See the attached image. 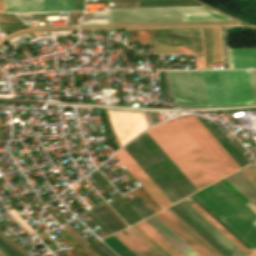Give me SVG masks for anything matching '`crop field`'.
Wrapping results in <instances>:
<instances>
[{
  "label": "crop field",
  "instance_id": "b80d0937",
  "mask_svg": "<svg viewBox=\"0 0 256 256\" xmlns=\"http://www.w3.org/2000/svg\"><path fill=\"white\" fill-rule=\"evenodd\" d=\"M97 248L100 252H102L105 256H116L113 252H111L106 246H104L102 243L94 246Z\"/></svg>",
  "mask_w": 256,
  "mask_h": 256
},
{
  "label": "crop field",
  "instance_id": "cbeb9de0",
  "mask_svg": "<svg viewBox=\"0 0 256 256\" xmlns=\"http://www.w3.org/2000/svg\"><path fill=\"white\" fill-rule=\"evenodd\" d=\"M125 231L131 236L126 238L120 232L114 234V236L137 256H164L132 227L125 229Z\"/></svg>",
  "mask_w": 256,
  "mask_h": 256
},
{
  "label": "crop field",
  "instance_id": "a9b5d70f",
  "mask_svg": "<svg viewBox=\"0 0 256 256\" xmlns=\"http://www.w3.org/2000/svg\"><path fill=\"white\" fill-rule=\"evenodd\" d=\"M196 69H204L201 28H193Z\"/></svg>",
  "mask_w": 256,
  "mask_h": 256
},
{
  "label": "crop field",
  "instance_id": "425ffa30",
  "mask_svg": "<svg viewBox=\"0 0 256 256\" xmlns=\"http://www.w3.org/2000/svg\"><path fill=\"white\" fill-rule=\"evenodd\" d=\"M254 256H256V254Z\"/></svg>",
  "mask_w": 256,
  "mask_h": 256
},
{
  "label": "crop field",
  "instance_id": "eef30255",
  "mask_svg": "<svg viewBox=\"0 0 256 256\" xmlns=\"http://www.w3.org/2000/svg\"><path fill=\"white\" fill-rule=\"evenodd\" d=\"M195 209H197L205 218H207L214 226H216L224 235H226L233 243H235L243 252H245L248 256L251 253L244 246H242L234 237H232L225 229H223L217 222H215L209 215H207L201 208H199L196 204L192 205Z\"/></svg>",
  "mask_w": 256,
  "mask_h": 256
},
{
  "label": "crop field",
  "instance_id": "28ad6ade",
  "mask_svg": "<svg viewBox=\"0 0 256 256\" xmlns=\"http://www.w3.org/2000/svg\"><path fill=\"white\" fill-rule=\"evenodd\" d=\"M232 256H247L184 200L175 204Z\"/></svg>",
  "mask_w": 256,
  "mask_h": 256
},
{
  "label": "crop field",
  "instance_id": "733c2abd",
  "mask_svg": "<svg viewBox=\"0 0 256 256\" xmlns=\"http://www.w3.org/2000/svg\"><path fill=\"white\" fill-rule=\"evenodd\" d=\"M184 256H198L154 215L144 220Z\"/></svg>",
  "mask_w": 256,
  "mask_h": 256
},
{
  "label": "crop field",
  "instance_id": "dafd665d",
  "mask_svg": "<svg viewBox=\"0 0 256 256\" xmlns=\"http://www.w3.org/2000/svg\"><path fill=\"white\" fill-rule=\"evenodd\" d=\"M148 224V223H147ZM144 221L136 224L149 238H151L158 246H160L170 256H182L175 248H173L166 240L156 233Z\"/></svg>",
  "mask_w": 256,
  "mask_h": 256
},
{
  "label": "crop field",
  "instance_id": "bc2a9ffb",
  "mask_svg": "<svg viewBox=\"0 0 256 256\" xmlns=\"http://www.w3.org/2000/svg\"><path fill=\"white\" fill-rule=\"evenodd\" d=\"M224 179L256 206V185L245 175L238 171Z\"/></svg>",
  "mask_w": 256,
  "mask_h": 256
},
{
  "label": "crop field",
  "instance_id": "03da06ac",
  "mask_svg": "<svg viewBox=\"0 0 256 256\" xmlns=\"http://www.w3.org/2000/svg\"><path fill=\"white\" fill-rule=\"evenodd\" d=\"M130 32H131V30H125L124 38H127V41H126V42H128V41H129V38H130ZM125 40H126V39H124V42H125Z\"/></svg>",
  "mask_w": 256,
  "mask_h": 256
},
{
  "label": "crop field",
  "instance_id": "4a817a6b",
  "mask_svg": "<svg viewBox=\"0 0 256 256\" xmlns=\"http://www.w3.org/2000/svg\"><path fill=\"white\" fill-rule=\"evenodd\" d=\"M88 215L107 235L125 228L105 206L88 213Z\"/></svg>",
  "mask_w": 256,
  "mask_h": 256
},
{
  "label": "crop field",
  "instance_id": "4177f3b9",
  "mask_svg": "<svg viewBox=\"0 0 256 256\" xmlns=\"http://www.w3.org/2000/svg\"><path fill=\"white\" fill-rule=\"evenodd\" d=\"M119 256H136L113 235L102 240Z\"/></svg>",
  "mask_w": 256,
  "mask_h": 256
},
{
  "label": "crop field",
  "instance_id": "8a807250",
  "mask_svg": "<svg viewBox=\"0 0 256 256\" xmlns=\"http://www.w3.org/2000/svg\"><path fill=\"white\" fill-rule=\"evenodd\" d=\"M146 131L198 190L225 176L175 118Z\"/></svg>",
  "mask_w": 256,
  "mask_h": 256
},
{
  "label": "crop field",
  "instance_id": "3316defc",
  "mask_svg": "<svg viewBox=\"0 0 256 256\" xmlns=\"http://www.w3.org/2000/svg\"><path fill=\"white\" fill-rule=\"evenodd\" d=\"M73 11V0H5V12Z\"/></svg>",
  "mask_w": 256,
  "mask_h": 256
},
{
  "label": "crop field",
  "instance_id": "d9b57169",
  "mask_svg": "<svg viewBox=\"0 0 256 256\" xmlns=\"http://www.w3.org/2000/svg\"><path fill=\"white\" fill-rule=\"evenodd\" d=\"M195 116L210 132V134L217 140V142L225 149V151L232 157V159L240 166V168L250 164L247 159L240 153V151L221 132V130L214 123V121L204 119L198 115Z\"/></svg>",
  "mask_w": 256,
  "mask_h": 256
},
{
  "label": "crop field",
  "instance_id": "028f5c9d",
  "mask_svg": "<svg viewBox=\"0 0 256 256\" xmlns=\"http://www.w3.org/2000/svg\"><path fill=\"white\" fill-rule=\"evenodd\" d=\"M17 220L18 222L29 232L33 233V229L15 212L14 209L9 211Z\"/></svg>",
  "mask_w": 256,
  "mask_h": 256
},
{
  "label": "crop field",
  "instance_id": "d32e631a",
  "mask_svg": "<svg viewBox=\"0 0 256 256\" xmlns=\"http://www.w3.org/2000/svg\"><path fill=\"white\" fill-rule=\"evenodd\" d=\"M0 237L5 240L11 247L19 251L24 256H31V253L21 248L19 245H17L14 241H12L7 235H5L1 229H0Z\"/></svg>",
  "mask_w": 256,
  "mask_h": 256
},
{
  "label": "crop field",
  "instance_id": "ac0d7876",
  "mask_svg": "<svg viewBox=\"0 0 256 256\" xmlns=\"http://www.w3.org/2000/svg\"><path fill=\"white\" fill-rule=\"evenodd\" d=\"M123 148L172 203L198 191L146 131Z\"/></svg>",
  "mask_w": 256,
  "mask_h": 256
},
{
  "label": "crop field",
  "instance_id": "750c4746",
  "mask_svg": "<svg viewBox=\"0 0 256 256\" xmlns=\"http://www.w3.org/2000/svg\"><path fill=\"white\" fill-rule=\"evenodd\" d=\"M194 200L202 209H204L212 218H214L222 227H224L231 235H233L239 242H241L247 249H252L240 237H238L230 228H228L219 218H217L209 209H207L199 200L193 195L189 196Z\"/></svg>",
  "mask_w": 256,
  "mask_h": 256
},
{
  "label": "crop field",
  "instance_id": "5142ce71",
  "mask_svg": "<svg viewBox=\"0 0 256 256\" xmlns=\"http://www.w3.org/2000/svg\"><path fill=\"white\" fill-rule=\"evenodd\" d=\"M153 53H193L192 38L150 37Z\"/></svg>",
  "mask_w": 256,
  "mask_h": 256
},
{
  "label": "crop field",
  "instance_id": "e1f06a70",
  "mask_svg": "<svg viewBox=\"0 0 256 256\" xmlns=\"http://www.w3.org/2000/svg\"><path fill=\"white\" fill-rule=\"evenodd\" d=\"M249 72H250L254 102L256 104V70H249Z\"/></svg>",
  "mask_w": 256,
  "mask_h": 256
},
{
  "label": "crop field",
  "instance_id": "c035e120",
  "mask_svg": "<svg viewBox=\"0 0 256 256\" xmlns=\"http://www.w3.org/2000/svg\"><path fill=\"white\" fill-rule=\"evenodd\" d=\"M0 247L9 255V256H18L15 254L7 244L0 238Z\"/></svg>",
  "mask_w": 256,
  "mask_h": 256
},
{
  "label": "crop field",
  "instance_id": "214f88e0",
  "mask_svg": "<svg viewBox=\"0 0 256 256\" xmlns=\"http://www.w3.org/2000/svg\"><path fill=\"white\" fill-rule=\"evenodd\" d=\"M231 68H256V49L229 50Z\"/></svg>",
  "mask_w": 256,
  "mask_h": 256
},
{
  "label": "crop field",
  "instance_id": "412701ff",
  "mask_svg": "<svg viewBox=\"0 0 256 256\" xmlns=\"http://www.w3.org/2000/svg\"><path fill=\"white\" fill-rule=\"evenodd\" d=\"M202 73L209 107L254 104L248 70Z\"/></svg>",
  "mask_w": 256,
  "mask_h": 256
},
{
  "label": "crop field",
  "instance_id": "5866460e",
  "mask_svg": "<svg viewBox=\"0 0 256 256\" xmlns=\"http://www.w3.org/2000/svg\"><path fill=\"white\" fill-rule=\"evenodd\" d=\"M171 37H192L191 29H168Z\"/></svg>",
  "mask_w": 256,
  "mask_h": 256
},
{
  "label": "crop field",
  "instance_id": "d1516ede",
  "mask_svg": "<svg viewBox=\"0 0 256 256\" xmlns=\"http://www.w3.org/2000/svg\"><path fill=\"white\" fill-rule=\"evenodd\" d=\"M207 256H221L168 208L158 212Z\"/></svg>",
  "mask_w": 256,
  "mask_h": 256
},
{
  "label": "crop field",
  "instance_id": "d3111659",
  "mask_svg": "<svg viewBox=\"0 0 256 256\" xmlns=\"http://www.w3.org/2000/svg\"><path fill=\"white\" fill-rule=\"evenodd\" d=\"M135 210L136 212L144 219L152 214H154L150 208L143 202V200L138 197L130 202H128Z\"/></svg>",
  "mask_w": 256,
  "mask_h": 256
},
{
  "label": "crop field",
  "instance_id": "ae1a2a85",
  "mask_svg": "<svg viewBox=\"0 0 256 256\" xmlns=\"http://www.w3.org/2000/svg\"><path fill=\"white\" fill-rule=\"evenodd\" d=\"M81 25L107 24L106 11L90 13L80 21Z\"/></svg>",
  "mask_w": 256,
  "mask_h": 256
},
{
  "label": "crop field",
  "instance_id": "d8731c3e",
  "mask_svg": "<svg viewBox=\"0 0 256 256\" xmlns=\"http://www.w3.org/2000/svg\"><path fill=\"white\" fill-rule=\"evenodd\" d=\"M114 156L161 209L172 204L123 148L117 151Z\"/></svg>",
  "mask_w": 256,
  "mask_h": 256
},
{
  "label": "crop field",
  "instance_id": "120bbe31",
  "mask_svg": "<svg viewBox=\"0 0 256 256\" xmlns=\"http://www.w3.org/2000/svg\"><path fill=\"white\" fill-rule=\"evenodd\" d=\"M159 218L166 226H168L174 233H176L183 241H185L193 250H195L200 256H205L198 248H196L189 240H187L180 232H178L172 225H170L163 217L158 213L154 214Z\"/></svg>",
  "mask_w": 256,
  "mask_h": 256
},
{
  "label": "crop field",
  "instance_id": "0bd39190",
  "mask_svg": "<svg viewBox=\"0 0 256 256\" xmlns=\"http://www.w3.org/2000/svg\"><path fill=\"white\" fill-rule=\"evenodd\" d=\"M20 37H22L24 39V41L27 42L26 39L34 37V34L33 33H25V34H21V35L13 37L12 39L8 40L9 43L12 45V47L15 45H18V43L14 39L20 38Z\"/></svg>",
  "mask_w": 256,
  "mask_h": 256
},
{
  "label": "crop field",
  "instance_id": "d23c7cc5",
  "mask_svg": "<svg viewBox=\"0 0 256 256\" xmlns=\"http://www.w3.org/2000/svg\"><path fill=\"white\" fill-rule=\"evenodd\" d=\"M0 131H1V127H0Z\"/></svg>",
  "mask_w": 256,
  "mask_h": 256
},
{
  "label": "crop field",
  "instance_id": "e52e79f7",
  "mask_svg": "<svg viewBox=\"0 0 256 256\" xmlns=\"http://www.w3.org/2000/svg\"><path fill=\"white\" fill-rule=\"evenodd\" d=\"M176 119L225 175L240 169L193 114L179 116Z\"/></svg>",
  "mask_w": 256,
  "mask_h": 256
},
{
  "label": "crop field",
  "instance_id": "5d738f31",
  "mask_svg": "<svg viewBox=\"0 0 256 256\" xmlns=\"http://www.w3.org/2000/svg\"><path fill=\"white\" fill-rule=\"evenodd\" d=\"M84 6H74L75 11L83 10Z\"/></svg>",
  "mask_w": 256,
  "mask_h": 256
},
{
  "label": "crop field",
  "instance_id": "22f410ed",
  "mask_svg": "<svg viewBox=\"0 0 256 256\" xmlns=\"http://www.w3.org/2000/svg\"><path fill=\"white\" fill-rule=\"evenodd\" d=\"M205 69L210 63H222L219 28H202Z\"/></svg>",
  "mask_w": 256,
  "mask_h": 256
},
{
  "label": "crop field",
  "instance_id": "bd1437ed",
  "mask_svg": "<svg viewBox=\"0 0 256 256\" xmlns=\"http://www.w3.org/2000/svg\"><path fill=\"white\" fill-rule=\"evenodd\" d=\"M161 97H170V89L166 71L158 72Z\"/></svg>",
  "mask_w": 256,
  "mask_h": 256
},
{
  "label": "crop field",
  "instance_id": "92a150f3",
  "mask_svg": "<svg viewBox=\"0 0 256 256\" xmlns=\"http://www.w3.org/2000/svg\"><path fill=\"white\" fill-rule=\"evenodd\" d=\"M169 209L173 211L180 219H182L188 226H190L197 234H199L206 242H208L222 256H231L175 205L169 207Z\"/></svg>",
  "mask_w": 256,
  "mask_h": 256
},
{
  "label": "crop field",
  "instance_id": "5a996713",
  "mask_svg": "<svg viewBox=\"0 0 256 256\" xmlns=\"http://www.w3.org/2000/svg\"><path fill=\"white\" fill-rule=\"evenodd\" d=\"M108 112L121 146L134 135L148 127L142 113L122 111Z\"/></svg>",
  "mask_w": 256,
  "mask_h": 256
},
{
  "label": "crop field",
  "instance_id": "c21b1889",
  "mask_svg": "<svg viewBox=\"0 0 256 256\" xmlns=\"http://www.w3.org/2000/svg\"><path fill=\"white\" fill-rule=\"evenodd\" d=\"M143 114L149 126L157 122L154 114H148V113H143Z\"/></svg>",
  "mask_w": 256,
  "mask_h": 256
},
{
  "label": "crop field",
  "instance_id": "34b2d1b8",
  "mask_svg": "<svg viewBox=\"0 0 256 256\" xmlns=\"http://www.w3.org/2000/svg\"><path fill=\"white\" fill-rule=\"evenodd\" d=\"M207 208L229 226L254 250L256 249V215L223 185L211 189L209 186L195 194Z\"/></svg>",
  "mask_w": 256,
  "mask_h": 256
},
{
  "label": "crop field",
  "instance_id": "730fd06b",
  "mask_svg": "<svg viewBox=\"0 0 256 256\" xmlns=\"http://www.w3.org/2000/svg\"><path fill=\"white\" fill-rule=\"evenodd\" d=\"M232 20L218 13L185 14V21Z\"/></svg>",
  "mask_w": 256,
  "mask_h": 256
},
{
  "label": "crop field",
  "instance_id": "f4fd0767",
  "mask_svg": "<svg viewBox=\"0 0 256 256\" xmlns=\"http://www.w3.org/2000/svg\"><path fill=\"white\" fill-rule=\"evenodd\" d=\"M213 12L203 6L108 9L109 23L184 21V13Z\"/></svg>",
  "mask_w": 256,
  "mask_h": 256
},
{
  "label": "crop field",
  "instance_id": "1d83c4d3",
  "mask_svg": "<svg viewBox=\"0 0 256 256\" xmlns=\"http://www.w3.org/2000/svg\"><path fill=\"white\" fill-rule=\"evenodd\" d=\"M74 238H76L85 248H82L89 256H99L87 245H89L80 235H78L68 224L63 226Z\"/></svg>",
  "mask_w": 256,
  "mask_h": 256
},
{
  "label": "crop field",
  "instance_id": "dd49c442",
  "mask_svg": "<svg viewBox=\"0 0 256 256\" xmlns=\"http://www.w3.org/2000/svg\"><path fill=\"white\" fill-rule=\"evenodd\" d=\"M174 103L208 107L201 71H168Z\"/></svg>",
  "mask_w": 256,
  "mask_h": 256
},
{
  "label": "crop field",
  "instance_id": "b54c1fbb",
  "mask_svg": "<svg viewBox=\"0 0 256 256\" xmlns=\"http://www.w3.org/2000/svg\"><path fill=\"white\" fill-rule=\"evenodd\" d=\"M0 12H4V0H0Z\"/></svg>",
  "mask_w": 256,
  "mask_h": 256
},
{
  "label": "crop field",
  "instance_id": "00972430",
  "mask_svg": "<svg viewBox=\"0 0 256 256\" xmlns=\"http://www.w3.org/2000/svg\"><path fill=\"white\" fill-rule=\"evenodd\" d=\"M112 208L122 217V219L128 224L132 225L142 218L135 212V210L128 204L120 206L115 199L109 203Z\"/></svg>",
  "mask_w": 256,
  "mask_h": 256
}]
</instances>
